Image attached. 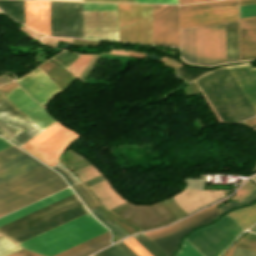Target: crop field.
I'll return each instance as SVG.
<instances>
[{
	"label": "crop field",
	"instance_id": "crop-field-30",
	"mask_svg": "<svg viewBox=\"0 0 256 256\" xmlns=\"http://www.w3.org/2000/svg\"><path fill=\"white\" fill-rule=\"evenodd\" d=\"M73 187L90 209L99 206L96 198L88 191V189L82 183L73 185Z\"/></svg>",
	"mask_w": 256,
	"mask_h": 256
},
{
	"label": "crop field",
	"instance_id": "crop-field-21",
	"mask_svg": "<svg viewBox=\"0 0 256 256\" xmlns=\"http://www.w3.org/2000/svg\"><path fill=\"white\" fill-rule=\"evenodd\" d=\"M110 244L109 231L96 236L86 242H83L75 247H72L55 256H85L93 251H96L106 245Z\"/></svg>",
	"mask_w": 256,
	"mask_h": 256
},
{
	"label": "crop field",
	"instance_id": "crop-field-1",
	"mask_svg": "<svg viewBox=\"0 0 256 256\" xmlns=\"http://www.w3.org/2000/svg\"><path fill=\"white\" fill-rule=\"evenodd\" d=\"M223 123H231L256 115L226 67L195 80Z\"/></svg>",
	"mask_w": 256,
	"mask_h": 256
},
{
	"label": "crop field",
	"instance_id": "crop-field-20",
	"mask_svg": "<svg viewBox=\"0 0 256 256\" xmlns=\"http://www.w3.org/2000/svg\"><path fill=\"white\" fill-rule=\"evenodd\" d=\"M71 194H73L72 190L70 188H67V189H65V190H63L61 192H58V193H56L54 195H51V196H49V197H47L45 199H42V200H40L38 202H35V203H33V204L29 205V206H26V207H24V208H22L20 210H17V211H15L13 213H10V214H8V215H6L4 217H1L0 218V226L4 225V224H6V223H8L10 221H13V220H15V219H17L19 217H22V216H24V215H26L28 213H31V212H33V211H35L37 209H40V208H42V207H44L46 205H49V204H51V203H53L55 201H58V200H60V199H62L64 197H67V196H69Z\"/></svg>",
	"mask_w": 256,
	"mask_h": 256
},
{
	"label": "crop field",
	"instance_id": "crop-field-48",
	"mask_svg": "<svg viewBox=\"0 0 256 256\" xmlns=\"http://www.w3.org/2000/svg\"><path fill=\"white\" fill-rule=\"evenodd\" d=\"M10 145H12V144L0 137V150L8 147Z\"/></svg>",
	"mask_w": 256,
	"mask_h": 256
},
{
	"label": "crop field",
	"instance_id": "crop-field-11",
	"mask_svg": "<svg viewBox=\"0 0 256 256\" xmlns=\"http://www.w3.org/2000/svg\"><path fill=\"white\" fill-rule=\"evenodd\" d=\"M197 64L225 62L224 24L196 27Z\"/></svg>",
	"mask_w": 256,
	"mask_h": 256
},
{
	"label": "crop field",
	"instance_id": "crop-field-39",
	"mask_svg": "<svg viewBox=\"0 0 256 256\" xmlns=\"http://www.w3.org/2000/svg\"><path fill=\"white\" fill-rule=\"evenodd\" d=\"M176 256H201V255L186 241H184L182 249Z\"/></svg>",
	"mask_w": 256,
	"mask_h": 256
},
{
	"label": "crop field",
	"instance_id": "crop-field-44",
	"mask_svg": "<svg viewBox=\"0 0 256 256\" xmlns=\"http://www.w3.org/2000/svg\"><path fill=\"white\" fill-rule=\"evenodd\" d=\"M122 251L128 256H137L130 248H128L123 242L116 244Z\"/></svg>",
	"mask_w": 256,
	"mask_h": 256
},
{
	"label": "crop field",
	"instance_id": "crop-field-31",
	"mask_svg": "<svg viewBox=\"0 0 256 256\" xmlns=\"http://www.w3.org/2000/svg\"><path fill=\"white\" fill-rule=\"evenodd\" d=\"M133 238L138 243H140L152 256H167L143 234H137L133 236Z\"/></svg>",
	"mask_w": 256,
	"mask_h": 256
},
{
	"label": "crop field",
	"instance_id": "crop-field-26",
	"mask_svg": "<svg viewBox=\"0 0 256 256\" xmlns=\"http://www.w3.org/2000/svg\"><path fill=\"white\" fill-rule=\"evenodd\" d=\"M0 9L10 17L25 24L24 1L0 0Z\"/></svg>",
	"mask_w": 256,
	"mask_h": 256
},
{
	"label": "crop field",
	"instance_id": "crop-field-23",
	"mask_svg": "<svg viewBox=\"0 0 256 256\" xmlns=\"http://www.w3.org/2000/svg\"><path fill=\"white\" fill-rule=\"evenodd\" d=\"M256 59V29L240 31V60Z\"/></svg>",
	"mask_w": 256,
	"mask_h": 256
},
{
	"label": "crop field",
	"instance_id": "crop-field-37",
	"mask_svg": "<svg viewBox=\"0 0 256 256\" xmlns=\"http://www.w3.org/2000/svg\"><path fill=\"white\" fill-rule=\"evenodd\" d=\"M19 249H21L19 246L15 245L6 238H0V256H5Z\"/></svg>",
	"mask_w": 256,
	"mask_h": 256
},
{
	"label": "crop field",
	"instance_id": "crop-field-6",
	"mask_svg": "<svg viewBox=\"0 0 256 256\" xmlns=\"http://www.w3.org/2000/svg\"><path fill=\"white\" fill-rule=\"evenodd\" d=\"M119 41L152 44L151 5L118 4Z\"/></svg>",
	"mask_w": 256,
	"mask_h": 256
},
{
	"label": "crop field",
	"instance_id": "crop-field-51",
	"mask_svg": "<svg viewBox=\"0 0 256 256\" xmlns=\"http://www.w3.org/2000/svg\"><path fill=\"white\" fill-rule=\"evenodd\" d=\"M245 121L250 123V124H252V125H254V124H256V117L250 118V119L245 120Z\"/></svg>",
	"mask_w": 256,
	"mask_h": 256
},
{
	"label": "crop field",
	"instance_id": "crop-field-56",
	"mask_svg": "<svg viewBox=\"0 0 256 256\" xmlns=\"http://www.w3.org/2000/svg\"><path fill=\"white\" fill-rule=\"evenodd\" d=\"M69 1H81V0H69Z\"/></svg>",
	"mask_w": 256,
	"mask_h": 256
},
{
	"label": "crop field",
	"instance_id": "crop-field-5",
	"mask_svg": "<svg viewBox=\"0 0 256 256\" xmlns=\"http://www.w3.org/2000/svg\"><path fill=\"white\" fill-rule=\"evenodd\" d=\"M244 230L229 213L214 224L201 228L185 240L202 256H218Z\"/></svg>",
	"mask_w": 256,
	"mask_h": 256
},
{
	"label": "crop field",
	"instance_id": "crop-field-14",
	"mask_svg": "<svg viewBox=\"0 0 256 256\" xmlns=\"http://www.w3.org/2000/svg\"><path fill=\"white\" fill-rule=\"evenodd\" d=\"M16 81L32 99L41 105L62 93L51 79L38 68Z\"/></svg>",
	"mask_w": 256,
	"mask_h": 256
},
{
	"label": "crop field",
	"instance_id": "crop-field-41",
	"mask_svg": "<svg viewBox=\"0 0 256 256\" xmlns=\"http://www.w3.org/2000/svg\"><path fill=\"white\" fill-rule=\"evenodd\" d=\"M238 242L256 245V235L249 233L246 236L239 239Z\"/></svg>",
	"mask_w": 256,
	"mask_h": 256
},
{
	"label": "crop field",
	"instance_id": "crop-field-15",
	"mask_svg": "<svg viewBox=\"0 0 256 256\" xmlns=\"http://www.w3.org/2000/svg\"><path fill=\"white\" fill-rule=\"evenodd\" d=\"M237 21V6L180 13V28Z\"/></svg>",
	"mask_w": 256,
	"mask_h": 256
},
{
	"label": "crop field",
	"instance_id": "crop-field-4",
	"mask_svg": "<svg viewBox=\"0 0 256 256\" xmlns=\"http://www.w3.org/2000/svg\"><path fill=\"white\" fill-rule=\"evenodd\" d=\"M26 116L34 121L43 130L56 122L50 115H48L37 103H35L19 86L4 96ZM0 99V118L27 127L22 132L14 136L13 142L18 145H23L32 137L43 131L21 111L13 106L5 98ZM33 128V129H31Z\"/></svg>",
	"mask_w": 256,
	"mask_h": 256
},
{
	"label": "crop field",
	"instance_id": "crop-field-38",
	"mask_svg": "<svg viewBox=\"0 0 256 256\" xmlns=\"http://www.w3.org/2000/svg\"><path fill=\"white\" fill-rule=\"evenodd\" d=\"M123 242L130 247L138 256H151L140 244H138L132 237L123 240Z\"/></svg>",
	"mask_w": 256,
	"mask_h": 256
},
{
	"label": "crop field",
	"instance_id": "crop-field-55",
	"mask_svg": "<svg viewBox=\"0 0 256 256\" xmlns=\"http://www.w3.org/2000/svg\"><path fill=\"white\" fill-rule=\"evenodd\" d=\"M4 95V93H0V97H2Z\"/></svg>",
	"mask_w": 256,
	"mask_h": 256
},
{
	"label": "crop field",
	"instance_id": "crop-field-35",
	"mask_svg": "<svg viewBox=\"0 0 256 256\" xmlns=\"http://www.w3.org/2000/svg\"><path fill=\"white\" fill-rule=\"evenodd\" d=\"M92 212L95 214L97 218H99L108 227H110L112 231L116 233L118 236H120L121 238L128 236V234H126L123 230H121L118 226L111 222L107 217H105L97 208L92 209Z\"/></svg>",
	"mask_w": 256,
	"mask_h": 256
},
{
	"label": "crop field",
	"instance_id": "crop-field-16",
	"mask_svg": "<svg viewBox=\"0 0 256 256\" xmlns=\"http://www.w3.org/2000/svg\"><path fill=\"white\" fill-rule=\"evenodd\" d=\"M86 213H88L87 209L84 207L83 204H81L75 208H72L64 213H61L55 217H52L46 221L34 225L8 238L14 241L15 243L19 244L25 240H28L34 236H37L43 232H46L52 228H55Z\"/></svg>",
	"mask_w": 256,
	"mask_h": 256
},
{
	"label": "crop field",
	"instance_id": "crop-field-25",
	"mask_svg": "<svg viewBox=\"0 0 256 256\" xmlns=\"http://www.w3.org/2000/svg\"><path fill=\"white\" fill-rule=\"evenodd\" d=\"M226 62L238 61L237 22L225 24Z\"/></svg>",
	"mask_w": 256,
	"mask_h": 256
},
{
	"label": "crop field",
	"instance_id": "crop-field-13",
	"mask_svg": "<svg viewBox=\"0 0 256 256\" xmlns=\"http://www.w3.org/2000/svg\"><path fill=\"white\" fill-rule=\"evenodd\" d=\"M79 204H81L80 200L76 197L75 194H73L67 198H64L22 218L1 226L0 233L8 237Z\"/></svg>",
	"mask_w": 256,
	"mask_h": 256
},
{
	"label": "crop field",
	"instance_id": "crop-field-42",
	"mask_svg": "<svg viewBox=\"0 0 256 256\" xmlns=\"http://www.w3.org/2000/svg\"><path fill=\"white\" fill-rule=\"evenodd\" d=\"M0 126H2L3 128H5L6 130H8L9 132H11L14 135L22 130V128L10 125V124L2 122V121H0Z\"/></svg>",
	"mask_w": 256,
	"mask_h": 256
},
{
	"label": "crop field",
	"instance_id": "crop-field-46",
	"mask_svg": "<svg viewBox=\"0 0 256 256\" xmlns=\"http://www.w3.org/2000/svg\"><path fill=\"white\" fill-rule=\"evenodd\" d=\"M8 256H38V255L30 253L28 251H25V250L21 249V250H19L17 252H14V253H12V254H10Z\"/></svg>",
	"mask_w": 256,
	"mask_h": 256
},
{
	"label": "crop field",
	"instance_id": "crop-field-53",
	"mask_svg": "<svg viewBox=\"0 0 256 256\" xmlns=\"http://www.w3.org/2000/svg\"><path fill=\"white\" fill-rule=\"evenodd\" d=\"M249 64V63H248ZM249 66L251 67V69L253 70V72L256 74V67H252L250 64Z\"/></svg>",
	"mask_w": 256,
	"mask_h": 256
},
{
	"label": "crop field",
	"instance_id": "crop-field-28",
	"mask_svg": "<svg viewBox=\"0 0 256 256\" xmlns=\"http://www.w3.org/2000/svg\"><path fill=\"white\" fill-rule=\"evenodd\" d=\"M246 229L256 222V204L230 212Z\"/></svg>",
	"mask_w": 256,
	"mask_h": 256
},
{
	"label": "crop field",
	"instance_id": "crop-field-32",
	"mask_svg": "<svg viewBox=\"0 0 256 256\" xmlns=\"http://www.w3.org/2000/svg\"><path fill=\"white\" fill-rule=\"evenodd\" d=\"M78 56V54L62 51L50 60L60 64L61 67L66 70L77 59Z\"/></svg>",
	"mask_w": 256,
	"mask_h": 256
},
{
	"label": "crop field",
	"instance_id": "crop-field-17",
	"mask_svg": "<svg viewBox=\"0 0 256 256\" xmlns=\"http://www.w3.org/2000/svg\"><path fill=\"white\" fill-rule=\"evenodd\" d=\"M26 26L50 36L49 2L25 1Z\"/></svg>",
	"mask_w": 256,
	"mask_h": 256
},
{
	"label": "crop field",
	"instance_id": "crop-field-7",
	"mask_svg": "<svg viewBox=\"0 0 256 256\" xmlns=\"http://www.w3.org/2000/svg\"><path fill=\"white\" fill-rule=\"evenodd\" d=\"M84 38L118 41L117 4L83 3Z\"/></svg>",
	"mask_w": 256,
	"mask_h": 256
},
{
	"label": "crop field",
	"instance_id": "crop-field-47",
	"mask_svg": "<svg viewBox=\"0 0 256 256\" xmlns=\"http://www.w3.org/2000/svg\"><path fill=\"white\" fill-rule=\"evenodd\" d=\"M234 246L241 247V248L248 249V250H252V251H256L255 246L246 245V244H242V243H238V242H235Z\"/></svg>",
	"mask_w": 256,
	"mask_h": 256
},
{
	"label": "crop field",
	"instance_id": "crop-field-2",
	"mask_svg": "<svg viewBox=\"0 0 256 256\" xmlns=\"http://www.w3.org/2000/svg\"><path fill=\"white\" fill-rule=\"evenodd\" d=\"M66 186L58 173L44 165L3 182L0 184V216Z\"/></svg>",
	"mask_w": 256,
	"mask_h": 256
},
{
	"label": "crop field",
	"instance_id": "crop-field-54",
	"mask_svg": "<svg viewBox=\"0 0 256 256\" xmlns=\"http://www.w3.org/2000/svg\"><path fill=\"white\" fill-rule=\"evenodd\" d=\"M250 180H252L254 183H256V175L252 178H250Z\"/></svg>",
	"mask_w": 256,
	"mask_h": 256
},
{
	"label": "crop field",
	"instance_id": "crop-field-33",
	"mask_svg": "<svg viewBox=\"0 0 256 256\" xmlns=\"http://www.w3.org/2000/svg\"><path fill=\"white\" fill-rule=\"evenodd\" d=\"M84 1L133 2L132 0H84ZM200 1H208V0H177V4L200 2ZM134 2L176 4L175 0H134Z\"/></svg>",
	"mask_w": 256,
	"mask_h": 256
},
{
	"label": "crop field",
	"instance_id": "crop-field-52",
	"mask_svg": "<svg viewBox=\"0 0 256 256\" xmlns=\"http://www.w3.org/2000/svg\"><path fill=\"white\" fill-rule=\"evenodd\" d=\"M248 230H250V231H252V232H255L256 233V224L254 225V226H252L250 229H248Z\"/></svg>",
	"mask_w": 256,
	"mask_h": 256
},
{
	"label": "crop field",
	"instance_id": "crop-field-43",
	"mask_svg": "<svg viewBox=\"0 0 256 256\" xmlns=\"http://www.w3.org/2000/svg\"><path fill=\"white\" fill-rule=\"evenodd\" d=\"M233 256H256V252L244 250L241 248H235Z\"/></svg>",
	"mask_w": 256,
	"mask_h": 256
},
{
	"label": "crop field",
	"instance_id": "crop-field-34",
	"mask_svg": "<svg viewBox=\"0 0 256 256\" xmlns=\"http://www.w3.org/2000/svg\"><path fill=\"white\" fill-rule=\"evenodd\" d=\"M23 154H25V153L14 145H12L4 150H1L0 151V165L7 161H10L16 157H19Z\"/></svg>",
	"mask_w": 256,
	"mask_h": 256
},
{
	"label": "crop field",
	"instance_id": "crop-field-9",
	"mask_svg": "<svg viewBox=\"0 0 256 256\" xmlns=\"http://www.w3.org/2000/svg\"><path fill=\"white\" fill-rule=\"evenodd\" d=\"M219 203L214 204L171 227L146 232L145 234L170 256L175 250L178 240L182 236L196 226L205 224L219 215L215 207Z\"/></svg>",
	"mask_w": 256,
	"mask_h": 256
},
{
	"label": "crop field",
	"instance_id": "crop-field-12",
	"mask_svg": "<svg viewBox=\"0 0 256 256\" xmlns=\"http://www.w3.org/2000/svg\"><path fill=\"white\" fill-rule=\"evenodd\" d=\"M153 44L179 47L178 6L152 5Z\"/></svg>",
	"mask_w": 256,
	"mask_h": 256
},
{
	"label": "crop field",
	"instance_id": "crop-field-36",
	"mask_svg": "<svg viewBox=\"0 0 256 256\" xmlns=\"http://www.w3.org/2000/svg\"><path fill=\"white\" fill-rule=\"evenodd\" d=\"M174 72L178 73L181 77H183L187 81H192L198 76L206 73L207 71L195 69V70H189L185 68H175Z\"/></svg>",
	"mask_w": 256,
	"mask_h": 256
},
{
	"label": "crop field",
	"instance_id": "crop-field-22",
	"mask_svg": "<svg viewBox=\"0 0 256 256\" xmlns=\"http://www.w3.org/2000/svg\"><path fill=\"white\" fill-rule=\"evenodd\" d=\"M181 56L196 64L195 27L180 29Z\"/></svg>",
	"mask_w": 256,
	"mask_h": 256
},
{
	"label": "crop field",
	"instance_id": "crop-field-24",
	"mask_svg": "<svg viewBox=\"0 0 256 256\" xmlns=\"http://www.w3.org/2000/svg\"><path fill=\"white\" fill-rule=\"evenodd\" d=\"M231 199H239V201L229 202L218 209L219 213L234 207L236 205L247 204L256 199V185L249 180L246 181L237 191L236 195Z\"/></svg>",
	"mask_w": 256,
	"mask_h": 256
},
{
	"label": "crop field",
	"instance_id": "crop-field-50",
	"mask_svg": "<svg viewBox=\"0 0 256 256\" xmlns=\"http://www.w3.org/2000/svg\"><path fill=\"white\" fill-rule=\"evenodd\" d=\"M234 248H235V247H233V246L229 247L227 253H226L224 256H231V254H232Z\"/></svg>",
	"mask_w": 256,
	"mask_h": 256
},
{
	"label": "crop field",
	"instance_id": "crop-field-8",
	"mask_svg": "<svg viewBox=\"0 0 256 256\" xmlns=\"http://www.w3.org/2000/svg\"><path fill=\"white\" fill-rule=\"evenodd\" d=\"M78 136L79 134L56 122L21 147L52 166L59 153Z\"/></svg>",
	"mask_w": 256,
	"mask_h": 256
},
{
	"label": "crop field",
	"instance_id": "crop-field-18",
	"mask_svg": "<svg viewBox=\"0 0 256 256\" xmlns=\"http://www.w3.org/2000/svg\"><path fill=\"white\" fill-rule=\"evenodd\" d=\"M227 69L256 109V76L248 64L231 66L227 67Z\"/></svg>",
	"mask_w": 256,
	"mask_h": 256
},
{
	"label": "crop field",
	"instance_id": "crop-field-10",
	"mask_svg": "<svg viewBox=\"0 0 256 256\" xmlns=\"http://www.w3.org/2000/svg\"><path fill=\"white\" fill-rule=\"evenodd\" d=\"M81 11V3L50 2L51 36L83 38Z\"/></svg>",
	"mask_w": 256,
	"mask_h": 256
},
{
	"label": "crop field",
	"instance_id": "crop-field-19",
	"mask_svg": "<svg viewBox=\"0 0 256 256\" xmlns=\"http://www.w3.org/2000/svg\"><path fill=\"white\" fill-rule=\"evenodd\" d=\"M42 165L25 154L0 166V183Z\"/></svg>",
	"mask_w": 256,
	"mask_h": 256
},
{
	"label": "crop field",
	"instance_id": "crop-field-27",
	"mask_svg": "<svg viewBox=\"0 0 256 256\" xmlns=\"http://www.w3.org/2000/svg\"><path fill=\"white\" fill-rule=\"evenodd\" d=\"M256 16V4L239 6V18ZM240 30L256 28V17L239 19Z\"/></svg>",
	"mask_w": 256,
	"mask_h": 256
},
{
	"label": "crop field",
	"instance_id": "crop-field-3",
	"mask_svg": "<svg viewBox=\"0 0 256 256\" xmlns=\"http://www.w3.org/2000/svg\"><path fill=\"white\" fill-rule=\"evenodd\" d=\"M105 231L107 229L88 213L19 245L52 256Z\"/></svg>",
	"mask_w": 256,
	"mask_h": 256
},
{
	"label": "crop field",
	"instance_id": "crop-field-49",
	"mask_svg": "<svg viewBox=\"0 0 256 256\" xmlns=\"http://www.w3.org/2000/svg\"><path fill=\"white\" fill-rule=\"evenodd\" d=\"M256 3V0H239V5Z\"/></svg>",
	"mask_w": 256,
	"mask_h": 256
},
{
	"label": "crop field",
	"instance_id": "crop-field-45",
	"mask_svg": "<svg viewBox=\"0 0 256 256\" xmlns=\"http://www.w3.org/2000/svg\"><path fill=\"white\" fill-rule=\"evenodd\" d=\"M16 86H18L15 82H11L5 85L0 86V90L5 91V92H10L12 89H14Z\"/></svg>",
	"mask_w": 256,
	"mask_h": 256
},
{
	"label": "crop field",
	"instance_id": "crop-field-29",
	"mask_svg": "<svg viewBox=\"0 0 256 256\" xmlns=\"http://www.w3.org/2000/svg\"><path fill=\"white\" fill-rule=\"evenodd\" d=\"M237 5V0H224L180 6V12Z\"/></svg>",
	"mask_w": 256,
	"mask_h": 256
},
{
	"label": "crop field",
	"instance_id": "crop-field-40",
	"mask_svg": "<svg viewBox=\"0 0 256 256\" xmlns=\"http://www.w3.org/2000/svg\"><path fill=\"white\" fill-rule=\"evenodd\" d=\"M93 256H126L116 246H111Z\"/></svg>",
	"mask_w": 256,
	"mask_h": 256
}]
</instances>
